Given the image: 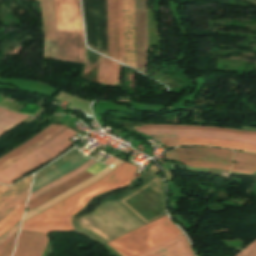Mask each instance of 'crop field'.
Segmentation results:
<instances>
[{
  "label": "crop field",
  "instance_id": "8a807250",
  "mask_svg": "<svg viewBox=\"0 0 256 256\" xmlns=\"http://www.w3.org/2000/svg\"><path fill=\"white\" fill-rule=\"evenodd\" d=\"M135 130L143 132L149 136L154 134L159 140L197 138L231 141L256 145V132L238 131L226 128L187 125H146L140 128H136ZM197 139H178L166 140L161 142L167 145H205L212 147L238 149L242 151L256 153V146L254 145Z\"/></svg>",
  "mask_w": 256,
  "mask_h": 256
},
{
  "label": "crop field",
  "instance_id": "ac0d7876",
  "mask_svg": "<svg viewBox=\"0 0 256 256\" xmlns=\"http://www.w3.org/2000/svg\"><path fill=\"white\" fill-rule=\"evenodd\" d=\"M57 59L84 62L85 45L79 0H53Z\"/></svg>",
  "mask_w": 256,
  "mask_h": 256
},
{
  "label": "crop field",
  "instance_id": "34b2d1b8",
  "mask_svg": "<svg viewBox=\"0 0 256 256\" xmlns=\"http://www.w3.org/2000/svg\"><path fill=\"white\" fill-rule=\"evenodd\" d=\"M181 234L165 215L107 244L121 256H136Z\"/></svg>",
  "mask_w": 256,
  "mask_h": 256
},
{
  "label": "crop field",
  "instance_id": "412701ff",
  "mask_svg": "<svg viewBox=\"0 0 256 256\" xmlns=\"http://www.w3.org/2000/svg\"><path fill=\"white\" fill-rule=\"evenodd\" d=\"M136 169L137 167L124 162L100 181L60 201L43 212L73 215L80 211L93 196L130 184Z\"/></svg>",
  "mask_w": 256,
  "mask_h": 256
},
{
  "label": "crop field",
  "instance_id": "f4fd0767",
  "mask_svg": "<svg viewBox=\"0 0 256 256\" xmlns=\"http://www.w3.org/2000/svg\"><path fill=\"white\" fill-rule=\"evenodd\" d=\"M72 217L39 214L23 222L21 231H74ZM47 234L21 232L14 256H41L48 242Z\"/></svg>",
  "mask_w": 256,
  "mask_h": 256
},
{
  "label": "crop field",
  "instance_id": "dd49c442",
  "mask_svg": "<svg viewBox=\"0 0 256 256\" xmlns=\"http://www.w3.org/2000/svg\"><path fill=\"white\" fill-rule=\"evenodd\" d=\"M75 134H77V132L67 128L38 150L2 170L0 172V182L10 185L17 179L24 176L26 173L35 170L37 167L72 145L73 142H71L69 139Z\"/></svg>",
  "mask_w": 256,
  "mask_h": 256
},
{
  "label": "crop field",
  "instance_id": "e52e79f7",
  "mask_svg": "<svg viewBox=\"0 0 256 256\" xmlns=\"http://www.w3.org/2000/svg\"><path fill=\"white\" fill-rule=\"evenodd\" d=\"M87 45L108 56L107 0H82Z\"/></svg>",
  "mask_w": 256,
  "mask_h": 256
},
{
  "label": "crop field",
  "instance_id": "d8731c3e",
  "mask_svg": "<svg viewBox=\"0 0 256 256\" xmlns=\"http://www.w3.org/2000/svg\"><path fill=\"white\" fill-rule=\"evenodd\" d=\"M182 162L191 167H205L229 171L233 151L206 147L176 149Z\"/></svg>",
  "mask_w": 256,
  "mask_h": 256
},
{
  "label": "crop field",
  "instance_id": "5a996713",
  "mask_svg": "<svg viewBox=\"0 0 256 256\" xmlns=\"http://www.w3.org/2000/svg\"><path fill=\"white\" fill-rule=\"evenodd\" d=\"M109 56L123 63L122 0H108Z\"/></svg>",
  "mask_w": 256,
  "mask_h": 256
},
{
  "label": "crop field",
  "instance_id": "3316defc",
  "mask_svg": "<svg viewBox=\"0 0 256 256\" xmlns=\"http://www.w3.org/2000/svg\"><path fill=\"white\" fill-rule=\"evenodd\" d=\"M66 126H58L51 124L41 133L19 146L12 152L6 154L5 156L0 158V171L9 165L15 163L16 161L22 159L26 155L30 154L34 150L38 149L50 139L61 133Z\"/></svg>",
  "mask_w": 256,
  "mask_h": 256
},
{
  "label": "crop field",
  "instance_id": "28ad6ade",
  "mask_svg": "<svg viewBox=\"0 0 256 256\" xmlns=\"http://www.w3.org/2000/svg\"><path fill=\"white\" fill-rule=\"evenodd\" d=\"M124 63L136 69L134 0H123Z\"/></svg>",
  "mask_w": 256,
  "mask_h": 256
},
{
  "label": "crop field",
  "instance_id": "d1516ede",
  "mask_svg": "<svg viewBox=\"0 0 256 256\" xmlns=\"http://www.w3.org/2000/svg\"><path fill=\"white\" fill-rule=\"evenodd\" d=\"M105 167L106 166L97 162L85 171H87L88 173H90L91 175L94 176L95 174L100 172ZM85 171L76 175L75 177L67 180L66 182L58 185L57 187L47 191L46 193L38 196L37 198L29 201L27 212L33 210L34 208L42 205L43 203L51 200L52 198L60 195L61 193L71 189L72 187H74V186L80 184L81 182H83V181L89 179L90 177H92L90 174H88Z\"/></svg>",
  "mask_w": 256,
  "mask_h": 256
},
{
  "label": "crop field",
  "instance_id": "22f410ed",
  "mask_svg": "<svg viewBox=\"0 0 256 256\" xmlns=\"http://www.w3.org/2000/svg\"><path fill=\"white\" fill-rule=\"evenodd\" d=\"M137 69L145 70L147 54L146 0H135Z\"/></svg>",
  "mask_w": 256,
  "mask_h": 256
},
{
  "label": "crop field",
  "instance_id": "cbeb9de0",
  "mask_svg": "<svg viewBox=\"0 0 256 256\" xmlns=\"http://www.w3.org/2000/svg\"><path fill=\"white\" fill-rule=\"evenodd\" d=\"M138 256H193L185 236L181 235L167 243Z\"/></svg>",
  "mask_w": 256,
  "mask_h": 256
},
{
  "label": "crop field",
  "instance_id": "5142ce71",
  "mask_svg": "<svg viewBox=\"0 0 256 256\" xmlns=\"http://www.w3.org/2000/svg\"><path fill=\"white\" fill-rule=\"evenodd\" d=\"M120 64L100 55L98 83L119 85Z\"/></svg>",
  "mask_w": 256,
  "mask_h": 256
},
{
  "label": "crop field",
  "instance_id": "d9b57169",
  "mask_svg": "<svg viewBox=\"0 0 256 256\" xmlns=\"http://www.w3.org/2000/svg\"><path fill=\"white\" fill-rule=\"evenodd\" d=\"M45 41H56L52 0H41Z\"/></svg>",
  "mask_w": 256,
  "mask_h": 256
},
{
  "label": "crop field",
  "instance_id": "733c2abd",
  "mask_svg": "<svg viewBox=\"0 0 256 256\" xmlns=\"http://www.w3.org/2000/svg\"><path fill=\"white\" fill-rule=\"evenodd\" d=\"M231 171L252 174L256 170V155L235 151Z\"/></svg>",
  "mask_w": 256,
  "mask_h": 256
},
{
  "label": "crop field",
  "instance_id": "4a817a6b",
  "mask_svg": "<svg viewBox=\"0 0 256 256\" xmlns=\"http://www.w3.org/2000/svg\"><path fill=\"white\" fill-rule=\"evenodd\" d=\"M32 177L29 176L10 187L1 186L0 187V207L7 203L10 199L16 196L24 188L31 184Z\"/></svg>",
  "mask_w": 256,
  "mask_h": 256
},
{
  "label": "crop field",
  "instance_id": "bc2a9ffb",
  "mask_svg": "<svg viewBox=\"0 0 256 256\" xmlns=\"http://www.w3.org/2000/svg\"><path fill=\"white\" fill-rule=\"evenodd\" d=\"M28 115H22L10 110L6 111L5 113L0 115V135L4 134L5 132L9 131L10 129L16 127L21 122L26 120Z\"/></svg>",
  "mask_w": 256,
  "mask_h": 256
},
{
  "label": "crop field",
  "instance_id": "214f88e0",
  "mask_svg": "<svg viewBox=\"0 0 256 256\" xmlns=\"http://www.w3.org/2000/svg\"><path fill=\"white\" fill-rule=\"evenodd\" d=\"M95 162H96V161H94V160H92V159L88 160L86 163H84V164H83L82 166H80L78 169H76V170H74V171H72V172L66 174L65 176H63V177H61V178L55 180L54 182H52V183H50V184H48V185L42 187L41 189H39V190H37V191L31 193L29 200H31V199L37 197L38 195H40V194L46 192L47 190H49V189L55 187L56 185H58V184H60V183H62V182H64V181H66L67 179H69V178L75 176L76 174H78V173L84 171L85 169H87L88 167H90V166H91L92 164H94Z\"/></svg>",
  "mask_w": 256,
  "mask_h": 256
},
{
  "label": "crop field",
  "instance_id": "92a150f3",
  "mask_svg": "<svg viewBox=\"0 0 256 256\" xmlns=\"http://www.w3.org/2000/svg\"><path fill=\"white\" fill-rule=\"evenodd\" d=\"M30 186L0 209V222L26 202Z\"/></svg>",
  "mask_w": 256,
  "mask_h": 256
},
{
  "label": "crop field",
  "instance_id": "dafd665d",
  "mask_svg": "<svg viewBox=\"0 0 256 256\" xmlns=\"http://www.w3.org/2000/svg\"><path fill=\"white\" fill-rule=\"evenodd\" d=\"M24 205L25 204L0 223V236L21 220Z\"/></svg>",
  "mask_w": 256,
  "mask_h": 256
},
{
  "label": "crop field",
  "instance_id": "00972430",
  "mask_svg": "<svg viewBox=\"0 0 256 256\" xmlns=\"http://www.w3.org/2000/svg\"><path fill=\"white\" fill-rule=\"evenodd\" d=\"M16 236H17V233H15L12 237H10L2 245H0V256L11 255Z\"/></svg>",
  "mask_w": 256,
  "mask_h": 256
},
{
  "label": "crop field",
  "instance_id": "a9b5d70f",
  "mask_svg": "<svg viewBox=\"0 0 256 256\" xmlns=\"http://www.w3.org/2000/svg\"><path fill=\"white\" fill-rule=\"evenodd\" d=\"M237 256H256V240L247 246L241 253Z\"/></svg>",
  "mask_w": 256,
  "mask_h": 256
},
{
  "label": "crop field",
  "instance_id": "4177f3b9",
  "mask_svg": "<svg viewBox=\"0 0 256 256\" xmlns=\"http://www.w3.org/2000/svg\"><path fill=\"white\" fill-rule=\"evenodd\" d=\"M38 108H39L38 106H34V105L28 103V104H27L22 110H20L19 112L34 115V113L38 110Z\"/></svg>",
  "mask_w": 256,
  "mask_h": 256
},
{
  "label": "crop field",
  "instance_id": "730fd06b",
  "mask_svg": "<svg viewBox=\"0 0 256 256\" xmlns=\"http://www.w3.org/2000/svg\"><path fill=\"white\" fill-rule=\"evenodd\" d=\"M19 223L16 224L13 228H11L8 232H6L3 236L0 237V244L3 243L6 239H8L11 235L18 231Z\"/></svg>",
  "mask_w": 256,
  "mask_h": 256
},
{
  "label": "crop field",
  "instance_id": "eef30255",
  "mask_svg": "<svg viewBox=\"0 0 256 256\" xmlns=\"http://www.w3.org/2000/svg\"><path fill=\"white\" fill-rule=\"evenodd\" d=\"M117 158H115V157H111L109 160H107L106 162H104V163H106V164H110V163H112L114 160H116Z\"/></svg>",
  "mask_w": 256,
  "mask_h": 256
},
{
  "label": "crop field",
  "instance_id": "ae1a2a85",
  "mask_svg": "<svg viewBox=\"0 0 256 256\" xmlns=\"http://www.w3.org/2000/svg\"><path fill=\"white\" fill-rule=\"evenodd\" d=\"M5 110H3V109H0V114L2 113V112H4Z\"/></svg>",
  "mask_w": 256,
  "mask_h": 256
}]
</instances>
